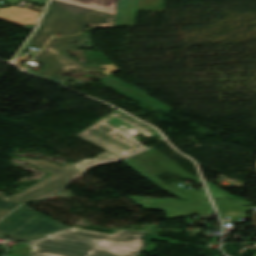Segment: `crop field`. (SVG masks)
<instances>
[{"mask_svg": "<svg viewBox=\"0 0 256 256\" xmlns=\"http://www.w3.org/2000/svg\"><path fill=\"white\" fill-rule=\"evenodd\" d=\"M122 158L110 153V152H104L101 153L99 155H97L96 158L94 159H85L82 161H79L81 164H83L85 167H90L92 165H96V164H103V163H111V162H115L117 160H120Z\"/></svg>", "mask_w": 256, "mask_h": 256, "instance_id": "11", "label": "crop field"}, {"mask_svg": "<svg viewBox=\"0 0 256 256\" xmlns=\"http://www.w3.org/2000/svg\"><path fill=\"white\" fill-rule=\"evenodd\" d=\"M72 231H78V229L68 228V229H65V230H63V231H60V232H57V233H54V234H50V235H48V236H46V237H43V238L28 240L27 242H28V244L30 245V247H31V249H32L31 252H30V254H29V256H32V254H33V252H34L33 243L38 242V241H41V240L48 239V238H50V237H53V236H56V235H59V234H62V233L72 232ZM121 231H123V230H121ZM133 231H137V230H133ZM91 232H95V231H91ZM139 232H143V231H139ZM98 233H99V232H98ZM145 233H146V232H145ZM148 233H151V232H148ZM115 234H116V233H115ZM115 234H113V235H115ZM151 234H154V233H151Z\"/></svg>", "mask_w": 256, "mask_h": 256, "instance_id": "14", "label": "crop field"}, {"mask_svg": "<svg viewBox=\"0 0 256 256\" xmlns=\"http://www.w3.org/2000/svg\"><path fill=\"white\" fill-rule=\"evenodd\" d=\"M158 245L156 244H151L149 245L145 250H143L142 252H151L154 248H156ZM155 250V249H154Z\"/></svg>", "mask_w": 256, "mask_h": 256, "instance_id": "17", "label": "crop field"}, {"mask_svg": "<svg viewBox=\"0 0 256 256\" xmlns=\"http://www.w3.org/2000/svg\"><path fill=\"white\" fill-rule=\"evenodd\" d=\"M19 203L0 194V218L13 210Z\"/></svg>", "mask_w": 256, "mask_h": 256, "instance_id": "12", "label": "crop field"}, {"mask_svg": "<svg viewBox=\"0 0 256 256\" xmlns=\"http://www.w3.org/2000/svg\"><path fill=\"white\" fill-rule=\"evenodd\" d=\"M68 228L23 206L0 221V236H12L22 241Z\"/></svg>", "mask_w": 256, "mask_h": 256, "instance_id": "7", "label": "crop field"}, {"mask_svg": "<svg viewBox=\"0 0 256 256\" xmlns=\"http://www.w3.org/2000/svg\"><path fill=\"white\" fill-rule=\"evenodd\" d=\"M128 132L132 133L133 135L138 134L139 132H137L135 129L131 128L129 130H127Z\"/></svg>", "mask_w": 256, "mask_h": 256, "instance_id": "19", "label": "crop field"}, {"mask_svg": "<svg viewBox=\"0 0 256 256\" xmlns=\"http://www.w3.org/2000/svg\"><path fill=\"white\" fill-rule=\"evenodd\" d=\"M254 256H256V253L254 254Z\"/></svg>", "mask_w": 256, "mask_h": 256, "instance_id": "21", "label": "crop field"}, {"mask_svg": "<svg viewBox=\"0 0 256 256\" xmlns=\"http://www.w3.org/2000/svg\"><path fill=\"white\" fill-rule=\"evenodd\" d=\"M164 0H119L117 27L135 26L136 10L163 11Z\"/></svg>", "mask_w": 256, "mask_h": 256, "instance_id": "10", "label": "crop field"}, {"mask_svg": "<svg viewBox=\"0 0 256 256\" xmlns=\"http://www.w3.org/2000/svg\"><path fill=\"white\" fill-rule=\"evenodd\" d=\"M131 127L145 137L152 136L147 128L116 112L104 117L77 136L125 158L147 148L125 131Z\"/></svg>", "mask_w": 256, "mask_h": 256, "instance_id": "2", "label": "crop field"}, {"mask_svg": "<svg viewBox=\"0 0 256 256\" xmlns=\"http://www.w3.org/2000/svg\"><path fill=\"white\" fill-rule=\"evenodd\" d=\"M91 34L92 33L51 39L46 49L40 52L34 58L35 61L46 66L44 69L38 72L37 75L66 85L68 84L66 83V81L70 80L71 78L58 76L56 74L63 71H67V70H80V71L102 72L106 75H109L119 71V69L116 68L113 64L103 66V67L87 66L77 61L73 57L69 56L68 54L62 52L64 50L71 49V48H81L86 46H92L93 43L90 39ZM70 42H79L76 45H79V44L81 45H79L78 47H75V45H69L68 43ZM30 73H33V72H30Z\"/></svg>", "mask_w": 256, "mask_h": 256, "instance_id": "3", "label": "crop field"}, {"mask_svg": "<svg viewBox=\"0 0 256 256\" xmlns=\"http://www.w3.org/2000/svg\"><path fill=\"white\" fill-rule=\"evenodd\" d=\"M17 66H19V63L18 64H16ZM19 67H21V66H19ZM22 69H24L25 70V68H23V67H21Z\"/></svg>", "mask_w": 256, "mask_h": 256, "instance_id": "20", "label": "crop field"}, {"mask_svg": "<svg viewBox=\"0 0 256 256\" xmlns=\"http://www.w3.org/2000/svg\"><path fill=\"white\" fill-rule=\"evenodd\" d=\"M131 158L156 176L169 172L201 182L199 178L188 174L154 149L144 151Z\"/></svg>", "mask_w": 256, "mask_h": 256, "instance_id": "8", "label": "crop field"}, {"mask_svg": "<svg viewBox=\"0 0 256 256\" xmlns=\"http://www.w3.org/2000/svg\"><path fill=\"white\" fill-rule=\"evenodd\" d=\"M155 240L168 241L170 243L177 244V245L193 246V245H189V244H185V243H181V242H177V241H173V240L162 239V238H158V237Z\"/></svg>", "mask_w": 256, "mask_h": 256, "instance_id": "16", "label": "crop field"}, {"mask_svg": "<svg viewBox=\"0 0 256 256\" xmlns=\"http://www.w3.org/2000/svg\"><path fill=\"white\" fill-rule=\"evenodd\" d=\"M114 0H52L41 25L27 44L44 48L52 34L61 36L81 33L92 28L110 27Z\"/></svg>", "mask_w": 256, "mask_h": 256, "instance_id": "1", "label": "crop field"}, {"mask_svg": "<svg viewBox=\"0 0 256 256\" xmlns=\"http://www.w3.org/2000/svg\"><path fill=\"white\" fill-rule=\"evenodd\" d=\"M175 184H176V183L170 184L169 186H171V187H173V188H175V189H177V190L183 192L184 194L190 196V197H191L192 199H194L195 201H200V200L208 199V197H207V195H206V193H205V191H204L203 188L200 189V191H201L200 193H197L194 189L188 190V191H185V190H183V189H180V188H178Z\"/></svg>", "mask_w": 256, "mask_h": 256, "instance_id": "13", "label": "crop field"}, {"mask_svg": "<svg viewBox=\"0 0 256 256\" xmlns=\"http://www.w3.org/2000/svg\"><path fill=\"white\" fill-rule=\"evenodd\" d=\"M116 3H117V0H115V4H114V11H113V18H112V24H111V27H113V25H114L115 11H116Z\"/></svg>", "mask_w": 256, "mask_h": 256, "instance_id": "18", "label": "crop field"}, {"mask_svg": "<svg viewBox=\"0 0 256 256\" xmlns=\"http://www.w3.org/2000/svg\"><path fill=\"white\" fill-rule=\"evenodd\" d=\"M19 160L35 165L39 169L51 174L47 179L40 181L9 197L19 203L27 200L43 199L61 190L64 184H66L77 175H79L81 172H83L85 169H87L78 162L74 164L68 163L60 167L45 160H27L23 157Z\"/></svg>", "mask_w": 256, "mask_h": 256, "instance_id": "5", "label": "crop field"}, {"mask_svg": "<svg viewBox=\"0 0 256 256\" xmlns=\"http://www.w3.org/2000/svg\"><path fill=\"white\" fill-rule=\"evenodd\" d=\"M33 256H88L94 247L48 239L34 244Z\"/></svg>", "mask_w": 256, "mask_h": 256, "instance_id": "9", "label": "crop field"}, {"mask_svg": "<svg viewBox=\"0 0 256 256\" xmlns=\"http://www.w3.org/2000/svg\"><path fill=\"white\" fill-rule=\"evenodd\" d=\"M156 236L133 231L119 232L115 236L78 231L53 239L95 246L89 256H137Z\"/></svg>", "mask_w": 256, "mask_h": 256, "instance_id": "4", "label": "crop field"}, {"mask_svg": "<svg viewBox=\"0 0 256 256\" xmlns=\"http://www.w3.org/2000/svg\"><path fill=\"white\" fill-rule=\"evenodd\" d=\"M125 162L129 164L131 167H133L135 170H137L139 173H141L143 176H145L147 179H149L151 182L156 184L157 186L177 195L180 198L189 200V201H181V200L166 199V198L129 196V198L133 202L141 205L143 208L150 209V210L165 211L169 220L190 216V215H195V214L214 212L209 201L195 203L191 201L192 199L190 200L184 194L164 185L162 182H160L158 179H156L154 176H152L150 173H148L147 171L139 167L137 164H135L131 160L128 159V160H125ZM151 203H153L154 205H151Z\"/></svg>", "mask_w": 256, "mask_h": 256, "instance_id": "6", "label": "crop field"}, {"mask_svg": "<svg viewBox=\"0 0 256 256\" xmlns=\"http://www.w3.org/2000/svg\"><path fill=\"white\" fill-rule=\"evenodd\" d=\"M251 224L256 227V210H252L251 211V215H250V218H249Z\"/></svg>", "mask_w": 256, "mask_h": 256, "instance_id": "15", "label": "crop field"}]
</instances>
